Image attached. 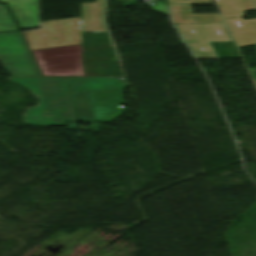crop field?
Returning <instances> with one entry per match:
<instances>
[{
    "mask_svg": "<svg viewBox=\"0 0 256 256\" xmlns=\"http://www.w3.org/2000/svg\"><path fill=\"white\" fill-rule=\"evenodd\" d=\"M0 64L12 77H41L20 32L0 33Z\"/></svg>",
    "mask_w": 256,
    "mask_h": 256,
    "instance_id": "4",
    "label": "crop field"
},
{
    "mask_svg": "<svg viewBox=\"0 0 256 256\" xmlns=\"http://www.w3.org/2000/svg\"><path fill=\"white\" fill-rule=\"evenodd\" d=\"M18 30L4 4H0V31Z\"/></svg>",
    "mask_w": 256,
    "mask_h": 256,
    "instance_id": "10",
    "label": "crop field"
},
{
    "mask_svg": "<svg viewBox=\"0 0 256 256\" xmlns=\"http://www.w3.org/2000/svg\"><path fill=\"white\" fill-rule=\"evenodd\" d=\"M31 52L43 76H84L81 44Z\"/></svg>",
    "mask_w": 256,
    "mask_h": 256,
    "instance_id": "3",
    "label": "crop field"
},
{
    "mask_svg": "<svg viewBox=\"0 0 256 256\" xmlns=\"http://www.w3.org/2000/svg\"><path fill=\"white\" fill-rule=\"evenodd\" d=\"M32 90L39 98L37 107L27 108L24 120L27 125H66L75 121L69 91H116L124 90L121 77H77L68 78H9ZM51 111L52 117H40L44 111ZM37 117V120L32 119Z\"/></svg>",
    "mask_w": 256,
    "mask_h": 256,
    "instance_id": "1",
    "label": "crop field"
},
{
    "mask_svg": "<svg viewBox=\"0 0 256 256\" xmlns=\"http://www.w3.org/2000/svg\"><path fill=\"white\" fill-rule=\"evenodd\" d=\"M169 4L189 3V4H212V0H168Z\"/></svg>",
    "mask_w": 256,
    "mask_h": 256,
    "instance_id": "11",
    "label": "crop field"
},
{
    "mask_svg": "<svg viewBox=\"0 0 256 256\" xmlns=\"http://www.w3.org/2000/svg\"><path fill=\"white\" fill-rule=\"evenodd\" d=\"M6 3L20 29L39 26L37 0H0Z\"/></svg>",
    "mask_w": 256,
    "mask_h": 256,
    "instance_id": "7",
    "label": "crop field"
},
{
    "mask_svg": "<svg viewBox=\"0 0 256 256\" xmlns=\"http://www.w3.org/2000/svg\"><path fill=\"white\" fill-rule=\"evenodd\" d=\"M171 15L174 24L222 22L219 14H192L190 5L171 6Z\"/></svg>",
    "mask_w": 256,
    "mask_h": 256,
    "instance_id": "9",
    "label": "crop field"
},
{
    "mask_svg": "<svg viewBox=\"0 0 256 256\" xmlns=\"http://www.w3.org/2000/svg\"><path fill=\"white\" fill-rule=\"evenodd\" d=\"M224 18L238 17L225 20L239 47L255 44L256 19L242 20L244 10H256L251 0H217ZM256 80V67L249 69Z\"/></svg>",
    "mask_w": 256,
    "mask_h": 256,
    "instance_id": "5",
    "label": "crop field"
},
{
    "mask_svg": "<svg viewBox=\"0 0 256 256\" xmlns=\"http://www.w3.org/2000/svg\"><path fill=\"white\" fill-rule=\"evenodd\" d=\"M30 50L81 43L80 17L41 22V30L23 33Z\"/></svg>",
    "mask_w": 256,
    "mask_h": 256,
    "instance_id": "2",
    "label": "crop field"
},
{
    "mask_svg": "<svg viewBox=\"0 0 256 256\" xmlns=\"http://www.w3.org/2000/svg\"><path fill=\"white\" fill-rule=\"evenodd\" d=\"M89 128H90V129H93V130L96 131V132H98V130H99V128H100V125L91 123Z\"/></svg>",
    "mask_w": 256,
    "mask_h": 256,
    "instance_id": "12",
    "label": "crop field"
},
{
    "mask_svg": "<svg viewBox=\"0 0 256 256\" xmlns=\"http://www.w3.org/2000/svg\"><path fill=\"white\" fill-rule=\"evenodd\" d=\"M256 82V81H255Z\"/></svg>",
    "mask_w": 256,
    "mask_h": 256,
    "instance_id": "14",
    "label": "crop field"
},
{
    "mask_svg": "<svg viewBox=\"0 0 256 256\" xmlns=\"http://www.w3.org/2000/svg\"><path fill=\"white\" fill-rule=\"evenodd\" d=\"M197 59H217L211 41H230L223 23L177 25Z\"/></svg>",
    "mask_w": 256,
    "mask_h": 256,
    "instance_id": "6",
    "label": "crop field"
},
{
    "mask_svg": "<svg viewBox=\"0 0 256 256\" xmlns=\"http://www.w3.org/2000/svg\"><path fill=\"white\" fill-rule=\"evenodd\" d=\"M252 1L254 2L255 6H256V0H252Z\"/></svg>",
    "mask_w": 256,
    "mask_h": 256,
    "instance_id": "13",
    "label": "crop field"
},
{
    "mask_svg": "<svg viewBox=\"0 0 256 256\" xmlns=\"http://www.w3.org/2000/svg\"><path fill=\"white\" fill-rule=\"evenodd\" d=\"M104 0L81 3L83 32H106L103 25Z\"/></svg>",
    "mask_w": 256,
    "mask_h": 256,
    "instance_id": "8",
    "label": "crop field"
}]
</instances>
